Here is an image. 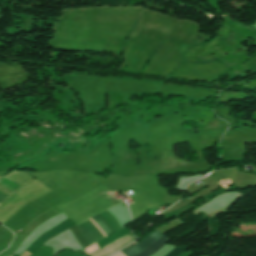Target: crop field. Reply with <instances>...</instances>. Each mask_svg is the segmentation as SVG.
Listing matches in <instances>:
<instances>
[{"label":"crop field","mask_w":256,"mask_h":256,"mask_svg":"<svg viewBox=\"0 0 256 256\" xmlns=\"http://www.w3.org/2000/svg\"><path fill=\"white\" fill-rule=\"evenodd\" d=\"M160 235L157 231H153L150 235H148L145 239L141 240L139 243H137L135 246L132 248L121 251L123 254L126 256H133L140 251L144 250L147 246H149L155 239H157Z\"/></svg>","instance_id":"ac0d7876"},{"label":"crop field","mask_w":256,"mask_h":256,"mask_svg":"<svg viewBox=\"0 0 256 256\" xmlns=\"http://www.w3.org/2000/svg\"><path fill=\"white\" fill-rule=\"evenodd\" d=\"M188 247H183V248H175L172 251H170L166 256H178L182 252H184Z\"/></svg>","instance_id":"f4fd0767"},{"label":"crop field","mask_w":256,"mask_h":256,"mask_svg":"<svg viewBox=\"0 0 256 256\" xmlns=\"http://www.w3.org/2000/svg\"><path fill=\"white\" fill-rule=\"evenodd\" d=\"M135 240L132 233L110 243L109 245L105 246L104 248L100 249L99 251L89 255V256H107L115 251L120 250L121 248L125 247L129 243Z\"/></svg>","instance_id":"8a807250"},{"label":"crop field","mask_w":256,"mask_h":256,"mask_svg":"<svg viewBox=\"0 0 256 256\" xmlns=\"http://www.w3.org/2000/svg\"><path fill=\"white\" fill-rule=\"evenodd\" d=\"M90 219V218H89ZM91 220V219H90ZM92 220L96 223V225L103 231V233L106 235V236H108V235H110V234H112V233H115L114 231H113V229L110 227V225L107 223V221L100 215V214H98V215H96V216H94V217H92ZM91 220V221H92ZM92 221V222H93ZM94 222H93V224H94ZM95 225V224H94ZM95 225V226H96ZM96 226V227H97ZM97 227V228H98ZM98 228V229H99ZM99 229V230H100ZM100 230V231H101ZM102 233V232H101ZM102 233V234H103ZM103 234V235H104ZM104 235V236H105ZM105 236V237H106Z\"/></svg>","instance_id":"412701ff"},{"label":"crop field","mask_w":256,"mask_h":256,"mask_svg":"<svg viewBox=\"0 0 256 256\" xmlns=\"http://www.w3.org/2000/svg\"><path fill=\"white\" fill-rule=\"evenodd\" d=\"M11 256V255H10Z\"/></svg>","instance_id":"e52e79f7"},{"label":"crop field","mask_w":256,"mask_h":256,"mask_svg":"<svg viewBox=\"0 0 256 256\" xmlns=\"http://www.w3.org/2000/svg\"><path fill=\"white\" fill-rule=\"evenodd\" d=\"M159 239V238H158ZM171 239L162 235V237L153 243L150 247H148L143 252L135 255V256H150L161 249L164 245H166Z\"/></svg>","instance_id":"34b2d1b8"},{"label":"crop field","mask_w":256,"mask_h":256,"mask_svg":"<svg viewBox=\"0 0 256 256\" xmlns=\"http://www.w3.org/2000/svg\"><path fill=\"white\" fill-rule=\"evenodd\" d=\"M96 250H98L96 243L84 249V251L87 252L88 254H90Z\"/></svg>","instance_id":"dd49c442"}]
</instances>
